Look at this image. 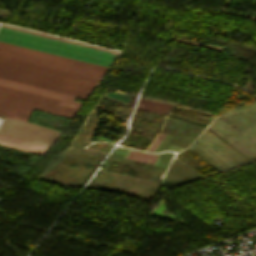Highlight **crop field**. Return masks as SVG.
Listing matches in <instances>:
<instances>
[{
	"label": "crop field",
	"instance_id": "8a807250",
	"mask_svg": "<svg viewBox=\"0 0 256 256\" xmlns=\"http://www.w3.org/2000/svg\"><path fill=\"white\" fill-rule=\"evenodd\" d=\"M0 66L93 88L97 79L0 57ZM0 78L85 98L90 89L0 68Z\"/></svg>",
	"mask_w": 256,
	"mask_h": 256
},
{
	"label": "crop field",
	"instance_id": "ac0d7876",
	"mask_svg": "<svg viewBox=\"0 0 256 256\" xmlns=\"http://www.w3.org/2000/svg\"><path fill=\"white\" fill-rule=\"evenodd\" d=\"M79 104L0 85V115L27 120L33 109L71 118ZM80 107V106H79Z\"/></svg>",
	"mask_w": 256,
	"mask_h": 256
},
{
	"label": "crop field",
	"instance_id": "34b2d1b8",
	"mask_svg": "<svg viewBox=\"0 0 256 256\" xmlns=\"http://www.w3.org/2000/svg\"><path fill=\"white\" fill-rule=\"evenodd\" d=\"M0 41L109 67L115 55L0 27Z\"/></svg>",
	"mask_w": 256,
	"mask_h": 256
},
{
	"label": "crop field",
	"instance_id": "412701ff",
	"mask_svg": "<svg viewBox=\"0 0 256 256\" xmlns=\"http://www.w3.org/2000/svg\"><path fill=\"white\" fill-rule=\"evenodd\" d=\"M0 56L100 79L106 67L0 42Z\"/></svg>",
	"mask_w": 256,
	"mask_h": 256
},
{
	"label": "crop field",
	"instance_id": "f4fd0767",
	"mask_svg": "<svg viewBox=\"0 0 256 256\" xmlns=\"http://www.w3.org/2000/svg\"><path fill=\"white\" fill-rule=\"evenodd\" d=\"M58 134L59 132L23 121L15 137L50 146Z\"/></svg>",
	"mask_w": 256,
	"mask_h": 256
},
{
	"label": "crop field",
	"instance_id": "dd49c442",
	"mask_svg": "<svg viewBox=\"0 0 256 256\" xmlns=\"http://www.w3.org/2000/svg\"><path fill=\"white\" fill-rule=\"evenodd\" d=\"M0 84L81 104L80 102L73 101L75 96H71L67 94H62V93L41 89V88H37V87L25 85V84H20V83H16V82L4 80V79H0Z\"/></svg>",
	"mask_w": 256,
	"mask_h": 256
},
{
	"label": "crop field",
	"instance_id": "e52e79f7",
	"mask_svg": "<svg viewBox=\"0 0 256 256\" xmlns=\"http://www.w3.org/2000/svg\"><path fill=\"white\" fill-rule=\"evenodd\" d=\"M0 144L43 154V152L48 148L47 146L7 137L0 135Z\"/></svg>",
	"mask_w": 256,
	"mask_h": 256
}]
</instances>
